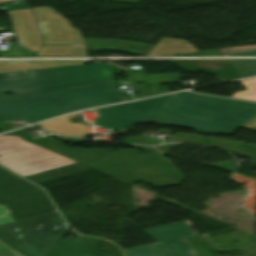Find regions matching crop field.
I'll use <instances>...</instances> for the list:
<instances>
[{"mask_svg":"<svg viewBox=\"0 0 256 256\" xmlns=\"http://www.w3.org/2000/svg\"><path fill=\"white\" fill-rule=\"evenodd\" d=\"M256 116V104L194 93L174 94L159 124L231 134Z\"/></svg>","mask_w":256,"mask_h":256,"instance_id":"obj_1","label":"crop field"},{"mask_svg":"<svg viewBox=\"0 0 256 256\" xmlns=\"http://www.w3.org/2000/svg\"><path fill=\"white\" fill-rule=\"evenodd\" d=\"M115 81L0 101V121L26 119L28 124L61 114L124 101Z\"/></svg>","mask_w":256,"mask_h":256,"instance_id":"obj_2","label":"crop field"},{"mask_svg":"<svg viewBox=\"0 0 256 256\" xmlns=\"http://www.w3.org/2000/svg\"><path fill=\"white\" fill-rule=\"evenodd\" d=\"M120 69L113 64H89L73 67L30 70L25 81L0 83V100L41 94L60 89L114 80L112 71ZM12 92L10 96H5Z\"/></svg>","mask_w":256,"mask_h":256,"instance_id":"obj_3","label":"crop field"},{"mask_svg":"<svg viewBox=\"0 0 256 256\" xmlns=\"http://www.w3.org/2000/svg\"><path fill=\"white\" fill-rule=\"evenodd\" d=\"M77 163L17 135L0 136V164L25 177Z\"/></svg>","mask_w":256,"mask_h":256,"instance_id":"obj_4","label":"crop field"},{"mask_svg":"<svg viewBox=\"0 0 256 256\" xmlns=\"http://www.w3.org/2000/svg\"><path fill=\"white\" fill-rule=\"evenodd\" d=\"M0 200L16 220L56 212L45 192L0 167Z\"/></svg>","mask_w":256,"mask_h":256,"instance_id":"obj_5","label":"crop field"},{"mask_svg":"<svg viewBox=\"0 0 256 256\" xmlns=\"http://www.w3.org/2000/svg\"><path fill=\"white\" fill-rule=\"evenodd\" d=\"M18 222L24 231L14 249L26 256H52L68 231L58 212Z\"/></svg>","mask_w":256,"mask_h":256,"instance_id":"obj_6","label":"crop field"},{"mask_svg":"<svg viewBox=\"0 0 256 256\" xmlns=\"http://www.w3.org/2000/svg\"><path fill=\"white\" fill-rule=\"evenodd\" d=\"M34 144L73 159L77 162H80L125 182L141 180L140 175L133 170V168L129 165V163L120 152L109 153L99 149L82 148H74L73 150H69L50 137H47Z\"/></svg>","mask_w":256,"mask_h":256,"instance_id":"obj_7","label":"crop field"},{"mask_svg":"<svg viewBox=\"0 0 256 256\" xmlns=\"http://www.w3.org/2000/svg\"><path fill=\"white\" fill-rule=\"evenodd\" d=\"M170 95L100 108L94 124L104 128H124L133 124L158 121Z\"/></svg>","mask_w":256,"mask_h":256,"instance_id":"obj_8","label":"crop field"},{"mask_svg":"<svg viewBox=\"0 0 256 256\" xmlns=\"http://www.w3.org/2000/svg\"><path fill=\"white\" fill-rule=\"evenodd\" d=\"M144 182L154 188L181 184L184 180L174 164L156 153L136 155L139 150H119ZM186 180V179H185Z\"/></svg>","mask_w":256,"mask_h":256,"instance_id":"obj_9","label":"crop field"},{"mask_svg":"<svg viewBox=\"0 0 256 256\" xmlns=\"http://www.w3.org/2000/svg\"><path fill=\"white\" fill-rule=\"evenodd\" d=\"M43 32L45 45L84 44L80 31L50 7L33 9Z\"/></svg>","mask_w":256,"mask_h":256,"instance_id":"obj_10","label":"crop field"},{"mask_svg":"<svg viewBox=\"0 0 256 256\" xmlns=\"http://www.w3.org/2000/svg\"><path fill=\"white\" fill-rule=\"evenodd\" d=\"M8 14L21 46L37 52L42 46V38L31 10L11 11Z\"/></svg>","mask_w":256,"mask_h":256,"instance_id":"obj_11","label":"crop field"},{"mask_svg":"<svg viewBox=\"0 0 256 256\" xmlns=\"http://www.w3.org/2000/svg\"><path fill=\"white\" fill-rule=\"evenodd\" d=\"M173 62L187 71L203 69L207 72L214 73L221 82L241 78L240 74L227 60H190Z\"/></svg>","mask_w":256,"mask_h":256,"instance_id":"obj_12","label":"crop field"},{"mask_svg":"<svg viewBox=\"0 0 256 256\" xmlns=\"http://www.w3.org/2000/svg\"><path fill=\"white\" fill-rule=\"evenodd\" d=\"M97 238L81 237L74 241L63 239L54 256H107L97 252Z\"/></svg>","mask_w":256,"mask_h":256,"instance_id":"obj_13","label":"crop field"},{"mask_svg":"<svg viewBox=\"0 0 256 256\" xmlns=\"http://www.w3.org/2000/svg\"><path fill=\"white\" fill-rule=\"evenodd\" d=\"M145 232H147L159 243L195 236L193 230L187 222H179L167 226H162L146 230Z\"/></svg>","mask_w":256,"mask_h":256,"instance_id":"obj_14","label":"crop field"},{"mask_svg":"<svg viewBox=\"0 0 256 256\" xmlns=\"http://www.w3.org/2000/svg\"><path fill=\"white\" fill-rule=\"evenodd\" d=\"M79 116H81L79 113L74 115H67L58 119L44 122L39 125L42 128H45L49 131L66 134V135L79 136V137L90 135L86 125H83L81 123L72 124L69 119L72 117H79Z\"/></svg>","mask_w":256,"mask_h":256,"instance_id":"obj_15","label":"crop field"},{"mask_svg":"<svg viewBox=\"0 0 256 256\" xmlns=\"http://www.w3.org/2000/svg\"><path fill=\"white\" fill-rule=\"evenodd\" d=\"M198 52L189 42L180 39L161 38L146 56L177 55Z\"/></svg>","mask_w":256,"mask_h":256,"instance_id":"obj_16","label":"crop field"},{"mask_svg":"<svg viewBox=\"0 0 256 256\" xmlns=\"http://www.w3.org/2000/svg\"><path fill=\"white\" fill-rule=\"evenodd\" d=\"M83 64V61L13 62L0 61V73Z\"/></svg>","mask_w":256,"mask_h":256,"instance_id":"obj_17","label":"crop field"},{"mask_svg":"<svg viewBox=\"0 0 256 256\" xmlns=\"http://www.w3.org/2000/svg\"><path fill=\"white\" fill-rule=\"evenodd\" d=\"M84 45H49L42 46L35 56H85Z\"/></svg>","mask_w":256,"mask_h":256,"instance_id":"obj_18","label":"crop field"},{"mask_svg":"<svg viewBox=\"0 0 256 256\" xmlns=\"http://www.w3.org/2000/svg\"><path fill=\"white\" fill-rule=\"evenodd\" d=\"M129 79L132 81L144 82L149 84H163V83H180L179 74L166 75H144L143 71H127ZM165 77V79H162Z\"/></svg>","mask_w":256,"mask_h":256,"instance_id":"obj_19","label":"crop field"},{"mask_svg":"<svg viewBox=\"0 0 256 256\" xmlns=\"http://www.w3.org/2000/svg\"><path fill=\"white\" fill-rule=\"evenodd\" d=\"M126 256H168L160 245H146L124 250Z\"/></svg>","mask_w":256,"mask_h":256,"instance_id":"obj_20","label":"crop field"},{"mask_svg":"<svg viewBox=\"0 0 256 256\" xmlns=\"http://www.w3.org/2000/svg\"><path fill=\"white\" fill-rule=\"evenodd\" d=\"M20 227L16 222L0 226V240L11 246L14 244L19 234L21 233Z\"/></svg>","mask_w":256,"mask_h":256,"instance_id":"obj_21","label":"crop field"},{"mask_svg":"<svg viewBox=\"0 0 256 256\" xmlns=\"http://www.w3.org/2000/svg\"><path fill=\"white\" fill-rule=\"evenodd\" d=\"M242 77L256 75V60H229Z\"/></svg>","mask_w":256,"mask_h":256,"instance_id":"obj_22","label":"crop field"},{"mask_svg":"<svg viewBox=\"0 0 256 256\" xmlns=\"http://www.w3.org/2000/svg\"><path fill=\"white\" fill-rule=\"evenodd\" d=\"M171 256H191L181 242H170L161 245Z\"/></svg>","mask_w":256,"mask_h":256,"instance_id":"obj_23","label":"crop field"},{"mask_svg":"<svg viewBox=\"0 0 256 256\" xmlns=\"http://www.w3.org/2000/svg\"><path fill=\"white\" fill-rule=\"evenodd\" d=\"M241 82L248 88V90L245 92L235 94L233 96V98L256 93V79L255 78L242 80Z\"/></svg>","mask_w":256,"mask_h":256,"instance_id":"obj_24","label":"crop field"},{"mask_svg":"<svg viewBox=\"0 0 256 256\" xmlns=\"http://www.w3.org/2000/svg\"><path fill=\"white\" fill-rule=\"evenodd\" d=\"M25 78H29L26 71L0 74V82Z\"/></svg>","mask_w":256,"mask_h":256,"instance_id":"obj_25","label":"crop field"},{"mask_svg":"<svg viewBox=\"0 0 256 256\" xmlns=\"http://www.w3.org/2000/svg\"><path fill=\"white\" fill-rule=\"evenodd\" d=\"M9 213L10 211L6 206L4 205L0 206V225L14 221Z\"/></svg>","mask_w":256,"mask_h":256,"instance_id":"obj_26","label":"crop field"},{"mask_svg":"<svg viewBox=\"0 0 256 256\" xmlns=\"http://www.w3.org/2000/svg\"><path fill=\"white\" fill-rule=\"evenodd\" d=\"M255 48H256V46L235 48V49H226V50H223V52H224V54H229V53H234V52H239V51H244V50H249V49H255Z\"/></svg>","mask_w":256,"mask_h":256,"instance_id":"obj_27","label":"crop field"},{"mask_svg":"<svg viewBox=\"0 0 256 256\" xmlns=\"http://www.w3.org/2000/svg\"><path fill=\"white\" fill-rule=\"evenodd\" d=\"M243 128L251 129L256 131V117L249 121L243 126Z\"/></svg>","mask_w":256,"mask_h":256,"instance_id":"obj_28","label":"crop field"},{"mask_svg":"<svg viewBox=\"0 0 256 256\" xmlns=\"http://www.w3.org/2000/svg\"><path fill=\"white\" fill-rule=\"evenodd\" d=\"M0 256H23V255H21L20 253L10 249L8 251L0 253Z\"/></svg>","mask_w":256,"mask_h":256,"instance_id":"obj_29","label":"crop field"},{"mask_svg":"<svg viewBox=\"0 0 256 256\" xmlns=\"http://www.w3.org/2000/svg\"><path fill=\"white\" fill-rule=\"evenodd\" d=\"M229 55H256V49L255 50H250V51L234 53V54H229Z\"/></svg>","mask_w":256,"mask_h":256,"instance_id":"obj_30","label":"crop field"},{"mask_svg":"<svg viewBox=\"0 0 256 256\" xmlns=\"http://www.w3.org/2000/svg\"><path fill=\"white\" fill-rule=\"evenodd\" d=\"M11 133H18V134H21L23 136H25L27 138V140L29 141H35L33 140L27 133H25L24 131H21V130H17V131H14V132H11ZM41 139V138H40ZM37 140V139H36ZM39 140V139H38Z\"/></svg>","mask_w":256,"mask_h":256,"instance_id":"obj_31","label":"crop field"},{"mask_svg":"<svg viewBox=\"0 0 256 256\" xmlns=\"http://www.w3.org/2000/svg\"><path fill=\"white\" fill-rule=\"evenodd\" d=\"M65 140L73 142L75 144L87 141V140H84V139H75V138H69V137H66Z\"/></svg>","mask_w":256,"mask_h":256,"instance_id":"obj_32","label":"crop field"},{"mask_svg":"<svg viewBox=\"0 0 256 256\" xmlns=\"http://www.w3.org/2000/svg\"><path fill=\"white\" fill-rule=\"evenodd\" d=\"M239 99H245V100L256 101V94H254V95H249V96H245V97H240Z\"/></svg>","mask_w":256,"mask_h":256,"instance_id":"obj_33","label":"crop field"},{"mask_svg":"<svg viewBox=\"0 0 256 256\" xmlns=\"http://www.w3.org/2000/svg\"><path fill=\"white\" fill-rule=\"evenodd\" d=\"M8 249H10V247H8L5 244H3L2 242H0V252H3Z\"/></svg>","mask_w":256,"mask_h":256,"instance_id":"obj_34","label":"crop field"},{"mask_svg":"<svg viewBox=\"0 0 256 256\" xmlns=\"http://www.w3.org/2000/svg\"><path fill=\"white\" fill-rule=\"evenodd\" d=\"M183 245L187 248V250L191 253L192 256H194V252L192 249L188 246L187 242L182 241Z\"/></svg>","mask_w":256,"mask_h":256,"instance_id":"obj_35","label":"crop field"}]
</instances>
